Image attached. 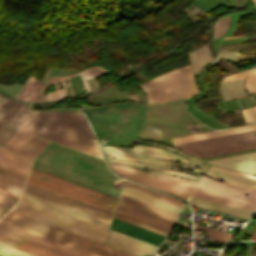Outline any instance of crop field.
Listing matches in <instances>:
<instances>
[{
  "label": "crop field",
  "mask_w": 256,
  "mask_h": 256,
  "mask_svg": "<svg viewBox=\"0 0 256 256\" xmlns=\"http://www.w3.org/2000/svg\"><path fill=\"white\" fill-rule=\"evenodd\" d=\"M137 141H139V140H137ZM139 142H143V141H139ZM145 143H147V142H145ZM138 144H144V143H138ZM152 144H155V143H152ZM146 145H149V144H146ZM102 147H103V150L106 154L108 161L111 163L120 162V163H125V164L146 167V168H150V169L160 171V172L174 173V174H177L175 176L194 180L196 182H198L199 177H196V176L190 175V174H186L183 172H179V171H174L171 169L190 172V173L198 175L200 177H201V175H199L197 173H193L191 171H187V170L178 168V167L167 166L164 164H172V165L180 166V167H183V168H186V169H189V170L201 173V174H203L206 171V169L210 166L209 164H207L195 157H192V156H189L187 154L180 152L181 155H183L193 161L188 160L184 157H181L177 154H174V153L168 151L170 149L164 150V149L148 147V146H144V145H136L133 149L114 147V146H106V145H102ZM157 147H160V146H157ZM161 148H165V147H161ZM165 149H167V148H165ZM109 157L143 163V164H148V165H153L156 167H151V166H147V165H143V164L129 163V162H125V161L112 159ZM151 157L178 161V162H182L185 164H189V165L201 168L203 170L176 164V163H172V162H168V161L154 159ZM112 161H115V162H112ZM115 164H119V163H115ZM119 165L136 168V167H132V166L124 165V164H119ZM110 166L117 174H119L121 176H124L128 179L134 180L136 182L142 183V184L152 187L154 189H158L161 191L175 194L183 200H186L188 195H192V196H196V197H200V198H204V199H208V200H212V201L225 203V204H229V205L256 211V190L224 183V182L209 178L204 175H202V177L198 183H195L190 180H185V179H180V178H175V177H170V176H163V177H167V178L184 181V182H180V181H174V180H168V179L155 177L153 175H157V174L145 172L148 170H145V171H141L144 169L136 170V169H140V168L131 169V168L122 167V166H118V165H114V164H110ZM150 172H152V171H150ZM160 174H165V173H160ZM171 175H173V174H171ZM157 176H161V175H157ZM244 191L252 192L254 194L250 199H248L242 193ZM192 196H190L187 201L188 204L192 205V206H196V207H200V208H204V209H208V210H213V211H217V212H221V213H225V214H230V215H234V216H238V217H242V218H246V219H249L251 217V215L254 213L253 211H249V210H245V209H241V208H237V207H233V206H229V205H225V204H220V203H216V202H212V201H208V200H204V199H200V198H196V197H192Z\"/></svg>",
  "instance_id": "8a807250"
},
{
  "label": "crop field",
  "mask_w": 256,
  "mask_h": 256,
  "mask_svg": "<svg viewBox=\"0 0 256 256\" xmlns=\"http://www.w3.org/2000/svg\"><path fill=\"white\" fill-rule=\"evenodd\" d=\"M35 135L103 158L80 111L33 112Z\"/></svg>",
  "instance_id": "ac0d7876"
},
{
  "label": "crop field",
  "mask_w": 256,
  "mask_h": 256,
  "mask_svg": "<svg viewBox=\"0 0 256 256\" xmlns=\"http://www.w3.org/2000/svg\"><path fill=\"white\" fill-rule=\"evenodd\" d=\"M0 223L92 256H134L12 211Z\"/></svg>",
  "instance_id": "34b2d1b8"
},
{
  "label": "crop field",
  "mask_w": 256,
  "mask_h": 256,
  "mask_svg": "<svg viewBox=\"0 0 256 256\" xmlns=\"http://www.w3.org/2000/svg\"><path fill=\"white\" fill-rule=\"evenodd\" d=\"M139 86L143 88L149 104L185 98L198 93L190 65L161 74Z\"/></svg>",
  "instance_id": "412701ff"
},
{
  "label": "crop field",
  "mask_w": 256,
  "mask_h": 256,
  "mask_svg": "<svg viewBox=\"0 0 256 256\" xmlns=\"http://www.w3.org/2000/svg\"><path fill=\"white\" fill-rule=\"evenodd\" d=\"M17 205L100 234L102 236H107L110 224L109 222L29 194L27 192H22L21 199Z\"/></svg>",
  "instance_id": "f4fd0767"
},
{
  "label": "crop field",
  "mask_w": 256,
  "mask_h": 256,
  "mask_svg": "<svg viewBox=\"0 0 256 256\" xmlns=\"http://www.w3.org/2000/svg\"><path fill=\"white\" fill-rule=\"evenodd\" d=\"M28 182L48 188L50 190L62 193L64 195L76 198L78 200L90 203L92 205L114 211L116 198L88 189L86 187L74 184L50 174L31 169Z\"/></svg>",
  "instance_id": "dd49c442"
},
{
  "label": "crop field",
  "mask_w": 256,
  "mask_h": 256,
  "mask_svg": "<svg viewBox=\"0 0 256 256\" xmlns=\"http://www.w3.org/2000/svg\"><path fill=\"white\" fill-rule=\"evenodd\" d=\"M171 146L198 158L256 148V130Z\"/></svg>",
  "instance_id": "e52e79f7"
},
{
  "label": "crop field",
  "mask_w": 256,
  "mask_h": 256,
  "mask_svg": "<svg viewBox=\"0 0 256 256\" xmlns=\"http://www.w3.org/2000/svg\"><path fill=\"white\" fill-rule=\"evenodd\" d=\"M23 190L27 191L29 193L38 195L40 197L49 199L51 201L60 203L62 205L71 207L73 209L82 211L84 213L93 215L95 217L104 219L106 221H109V222L111 221V217H112V214H113L112 212H109V211H106L104 209L92 206L90 204L78 201L76 199L64 196L62 194L50 191L48 189L36 186L34 184H31V183L27 182Z\"/></svg>",
  "instance_id": "d8731c3e"
},
{
  "label": "crop field",
  "mask_w": 256,
  "mask_h": 256,
  "mask_svg": "<svg viewBox=\"0 0 256 256\" xmlns=\"http://www.w3.org/2000/svg\"><path fill=\"white\" fill-rule=\"evenodd\" d=\"M0 234L39 247L41 249L53 252L61 256H89L81 252L66 248L64 246L52 243L50 241L21 232L19 230L7 227L2 224H0Z\"/></svg>",
  "instance_id": "5a996713"
},
{
  "label": "crop field",
  "mask_w": 256,
  "mask_h": 256,
  "mask_svg": "<svg viewBox=\"0 0 256 256\" xmlns=\"http://www.w3.org/2000/svg\"><path fill=\"white\" fill-rule=\"evenodd\" d=\"M117 204L129 209L138 211L140 213L152 216L154 218L166 221L171 224H173L177 216V213L136 200L134 198H131L122 194L120 195V198Z\"/></svg>",
  "instance_id": "3316defc"
},
{
  "label": "crop field",
  "mask_w": 256,
  "mask_h": 256,
  "mask_svg": "<svg viewBox=\"0 0 256 256\" xmlns=\"http://www.w3.org/2000/svg\"><path fill=\"white\" fill-rule=\"evenodd\" d=\"M108 73L109 72L107 70H105L101 67H98V66H94V67L86 69L82 72H78V73H74V74H70V75H66V76L52 77L50 82L47 85L56 84L57 90H55L51 93L49 92L48 94H46V96H42L38 102L68 98V93H67L64 79H67L68 87L70 89V93L72 96L73 94L71 91V87H70L68 78H71V77H74V76L80 74L81 79L84 80V79L95 78L99 75L108 74ZM59 82L62 83L64 90L58 89L57 83H59Z\"/></svg>",
  "instance_id": "28ad6ade"
},
{
  "label": "crop field",
  "mask_w": 256,
  "mask_h": 256,
  "mask_svg": "<svg viewBox=\"0 0 256 256\" xmlns=\"http://www.w3.org/2000/svg\"><path fill=\"white\" fill-rule=\"evenodd\" d=\"M12 211H15V212H17V213L26 215V216H28V217H31V218H34V219H37V220H40V221L45 222V223H48V224H51V225H53V226L62 228V229H64V230L73 232V233H75V234H78V235L87 237V238H89V239L98 241V242H100V243H103V244L105 243V239H106L105 237H102V236H100V235L91 233V232H89V231L80 229V228L75 227V226H72V225H69V224H67V223H64V222L55 220V219H53V218L44 216V215H42V214L33 212V211H31V210L22 208V207H20V206L15 205L14 208L12 209Z\"/></svg>",
  "instance_id": "d1516ede"
},
{
  "label": "crop field",
  "mask_w": 256,
  "mask_h": 256,
  "mask_svg": "<svg viewBox=\"0 0 256 256\" xmlns=\"http://www.w3.org/2000/svg\"><path fill=\"white\" fill-rule=\"evenodd\" d=\"M206 175L215 179L256 189V176L211 166Z\"/></svg>",
  "instance_id": "22f410ed"
},
{
  "label": "crop field",
  "mask_w": 256,
  "mask_h": 256,
  "mask_svg": "<svg viewBox=\"0 0 256 256\" xmlns=\"http://www.w3.org/2000/svg\"><path fill=\"white\" fill-rule=\"evenodd\" d=\"M32 136V115L30 114L28 118L21 124V126L6 141L3 147L18 153Z\"/></svg>",
  "instance_id": "cbeb9de0"
},
{
  "label": "crop field",
  "mask_w": 256,
  "mask_h": 256,
  "mask_svg": "<svg viewBox=\"0 0 256 256\" xmlns=\"http://www.w3.org/2000/svg\"><path fill=\"white\" fill-rule=\"evenodd\" d=\"M256 129V123L249 125V126H243V127H237L233 129H226V130H218V131H211V132H205V133H199V134H193V135H187V136H181V137H175L172 138L174 143H182V142H188L193 140H199L204 138H210L215 136H221L226 134H232L237 132H243L248 130H254Z\"/></svg>",
  "instance_id": "5142ce71"
},
{
  "label": "crop field",
  "mask_w": 256,
  "mask_h": 256,
  "mask_svg": "<svg viewBox=\"0 0 256 256\" xmlns=\"http://www.w3.org/2000/svg\"><path fill=\"white\" fill-rule=\"evenodd\" d=\"M41 89V81L28 76L25 85L15 99L21 101H33Z\"/></svg>",
  "instance_id": "d9b57169"
},
{
  "label": "crop field",
  "mask_w": 256,
  "mask_h": 256,
  "mask_svg": "<svg viewBox=\"0 0 256 256\" xmlns=\"http://www.w3.org/2000/svg\"><path fill=\"white\" fill-rule=\"evenodd\" d=\"M188 56L192 63L194 74L212 60L208 45L189 53Z\"/></svg>",
  "instance_id": "733c2abd"
},
{
  "label": "crop field",
  "mask_w": 256,
  "mask_h": 256,
  "mask_svg": "<svg viewBox=\"0 0 256 256\" xmlns=\"http://www.w3.org/2000/svg\"><path fill=\"white\" fill-rule=\"evenodd\" d=\"M242 81L243 79L221 82L220 91L223 99L226 100L241 96H248L242 89Z\"/></svg>",
  "instance_id": "4a817a6b"
},
{
  "label": "crop field",
  "mask_w": 256,
  "mask_h": 256,
  "mask_svg": "<svg viewBox=\"0 0 256 256\" xmlns=\"http://www.w3.org/2000/svg\"><path fill=\"white\" fill-rule=\"evenodd\" d=\"M121 193L125 194V195H128V196H131V197H134L136 199H139V200H142V201H145V202H148V203H151V204L163 207L165 209H168V210H171V211H174V212H177V213L180 210V207L174 206L172 204L160 201L158 199L146 196L144 194L132 191V190L124 188V187L122 188V192Z\"/></svg>",
  "instance_id": "bc2a9ffb"
},
{
  "label": "crop field",
  "mask_w": 256,
  "mask_h": 256,
  "mask_svg": "<svg viewBox=\"0 0 256 256\" xmlns=\"http://www.w3.org/2000/svg\"><path fill=\"white\" fill-rule=\"evenodd\" d=\"M124 187H127V188H130L132 190H135V191H138V192H141V193H144L146 195H149V196H152V197H155V198H158L160 200H163V201H166V202H169V203H172L174 205H177V206H182V202L181 201H178L174 198H171L169 196H166V195H163L161 193H158L156 191H153L151 189H148L146 187H143L141 185H138V184H134V183H131V182H127V181H124V184H123Z\"/></svg>",
  "instance_id": "214f88e0"
},
{
  "label": "crop field",
  "mask_w": 256,
  "mask_h": 256,
  "mask_svg": "<svg viewBox=\"0 0 256 256\" xmlns=\"http://www.w3.org/2000/svg\"><path fill=\"white\" fill-rule=\"evenodd\" d=\"M0 160L6 162L24 172H28L31 162L3 149L0 148Z\"/></svg>",
  "instance_id": "92a150f3"
},
{
  "label": "crop field",
  "mask_w": 256,
  "mask_h": 256,
  "mask_svg": "<svg viewBox=\"0 0 256 256\" xmlns=\"http://www.w3.org/2000/svg\"><path fill=\"white\" fill-rule=\"evenodd\" d=\"M47 142V140L33 136L18 154L33 160Z\"/></svg>",
  "instance_id": "dafd665d"
},
{
  "label": "crop field",
  "mask_w": 256,
  "mask_h": 256,
  "mask_svg": "<svg viewBox=\"0 0 256 256\" xmlns=\"http://www.w3.org/2000/svg\"><path fill=\"white\" fill-rule=\"evenodd\" d=\"M22 187V185L0 175V193L17 200Z\"/></svg>",
  "instance_id": "00972430"
},
{
  "label": "crop field",
  "mask_w": 256,
  "mask_h": 256,
  "mask_svg": "<svg viewBox=\"0 0 256 256\" xmlns=\"http://www.w3.org/2000/svg\"><path fill=\"white\" fill-rule=\"evenodd\" d=\"M114 217H115V218H118V219H120V220L129 222V223H132V224H134V225H137V226L146 228V229H148V230H151V231L160 233V234L165 235V236L167 235V233H168V231H169V230H166V229H164V228L155 226V225H153V224L144 222V221H142V220L133 218V217H131V216L122 214V213L117 212V211L115 212V216H114Z\"/></svg>",
  "instance_id": "a9b5d70f"
},
{
  "label": "crop field",
  "mask_w": 256,
  "mask_h": 256,
  "mask_svg": "<svg viewBox=\"0 0 256 256\" xmlns=\"http://www.w3.org/2000/svg\"><path fill=\"white\" fill-rule=\"evenodd\" d=\"M22 106L20 103L6 100L0 107V130L2 127L11 119V117L19 110Z\"/></svg>",
  "instance_id": "4177f3b9"
},
{
  "label": "crop field",
  "mask_w": 256,
  "mask_h": 256,
  "mask_svg": "<svg viewBox=\"0 0 256 256\" xmlns=\"http://www.w3.org/2000/svg\"><path fill=\"white\" fill-rule=\"evenodd\" d=\"M194 228L196 229H200V230H204L207 231V236L209 240H215V241H220V242H224L226 243L228 240H230L232 238V236L234 235L233 233H229V232H225V231H221V230H217V229H212V228H208V227H204V226H200V225H196L194 224ZM213 238V239H211Z\"/></svg>",
  "instance_id": "730fd06b"
},
{
  "label": "crop field",
  "mask_w": 256,
  "mask_h": 256,
  "mask_svg": "<svg viewBox=\"0 0 256 256\" xmlns=\"http://www.w3.org/2000/svg\"><path fill=\"white\" fill-rule=\"evenodd\" d=\"M116 210H117V211H120V212H122V213L128 214V215H131V216H133V217L142 219V220H144V221L153 223V224H155V225L164 227V228L169 229V230L171 229V226H172L171 224H168V223H165V222H163V221H160V220L151 218V217H149V216H146V215L137 213V212H135V211H132V210L123 208V207L118 206V205H117Z\"/></svg>",
  "instance_id": "eef30255"
},
{
  "label": "crop field",
  "mask_w": 256,
  "mask_h": 256,
  "mask_svg": "<svg viewBox=\"0 0 256 256\" xmlns=\"http://www.w3.org/2000/svg\"><path fill=\"white\" fill-rule=\"evenodd\" d=\"M109 236H112L114 238H117V239H120V240H123L125 242H128V243H131V244H134V245H137L139 247H142V248H145V249H148L150 251H155L156 249V246H153L151 244H148V243H145L143 241H140V240H137L135 238H132V237H129L127 235H124V234H121L119 232H116V231H113V230H109Z\"/></svg>",
  "instance_id": "ae1a2a85"
},
{
  "label": "crop field",
  "mask_w": 256,
  "mask_h": 256,
  "mask_svg": "<svg viewBox=\"0 0 256 256\" xmlns=\"http://www.w3.org/2000/svg\"><path fill=\"white\" fill-rule=\"evenodd\" d=\"M0 241L6 242L8 244L23 248L25 250H28V251H31V252H34V253H37V254H40L42 256H58V255H55L53 253L41 250L39 248L27 245L25 243L13 240L11 238H8V237L2 236V235H0Z\"/></svg>",
  "instance_id": "d3111659"
},
{
  "label": "crop field",
  "mask_w": 256,
  "mask_h": 256,
  "mask_svg": "<svg viewBox=\"0 0 256 256\" xmlns=\"http://www.w3.org/2000/svg\"><path fill=\"white\" fill-rule=\"evenodd\" d=\"M254 158H256V152L235 155V156H230V157H224V158H219V159H213V160H207V162H210V163L216 164V165H220V164L249 160V159H254Z\"/></svg>",
  "instance_id": "750c4746"
},
{
  "label": "crop field",
  "mask_w": 256,
  "mask_h": 256,
  "mask_svg": "<svg viewBox=\"0 0 256 256\" xmlns=\"http://www.w3.org/2000/svg\"><path fill=\"white\" fill-rule=\"evenodd\" d=\"M223 167L255 174L256 173V159L255 160H249V161H243V162H237L232 164H226V165H220Z\"/></svg>",
  "instance_id": "bd1437ed"
},
{
  "label": "crop field",
  "mask_w": 256,
  "mask_h": 256,
  "mask_svg": "<svg viewBox=\"0 0 256 256\" xmlns=\"http://www.w3.org/2000/svg\"><path fill=\"white\" fill-rule=\"evenodd\" d=\"M229 24V16L225 15L219 18L214 24V34L213 39L224 34Z\"/></svg>",
  "instance_id": "1d83c4d3"
},
{
  "label": "crop field",
  "mask_w": 256,
  "mask_h": 256,
  "mask_svg": "<svg viewBox=\"0 0 256 256\" xmlns=\"http://www.w3.org/2000/svg\"><path fill=\"white\" fill-rule=\"evenodd\" d=\"M244 88L248 91V93H256V68L250 69Z\"/></svg>",
  "instance_id": "120bbe31"
},
{
  "label": "crop field",
  "mask_w": 256,
  "mask_h": 256,
  "mask_svg": "<svg viewBox=\"0 0 256 256\" xmlns=\"http://www.w3.org/2000/svg\"><path fill=\"white\" fill-rule=\"evenodd\" d=\"M219 57H222L230 62H235L236 60H246V56H239L238 52L220 51L218 56L215 57L212 63H214ZM232 63V64H233Z\"/></svg>",
  "instance_id": "d32e631a"
},
{
  "label": "crop field",
  "mask_w": 256,
  "mask_h": 256,
  "mask_svg": "<svg viewBox=\"0 0 256 256\" xmlns=\"http://www.w3.org/2000/svg\"><path fill=\"white\" fill-rule=\"evenodd\" d=\"M107 240H108V241H111V242H113V243L119 244V245H121V246L130 248V249H132V250L138 251V252H140V253L154 256V253H153V252H150V251H148V250L139 248V247H137V246H134V245L125 243V242H123V241L114 239V238H112V237H109V236H108Z\"/></svg>",
  "instance_id": "5866460e"
},
{
  "label": "crop field",
  "mask_w": 256,
  "mask_h": 256,
  "mask_svg": "<svg viewBox=\"0 0 256 256\" xmlns=\"http://www.w3.org/2000/svg\"><path fill=\"white\" fill-rule=\"evenodd\" d=\"M0 174L20 183L22 185L24 184V182L26 180L25 178L15 174L5 168H2V167H0Z\"/></svg>",
  "instance_id": "028f5c9d"
},
{
  "label": "crop field",
  "mask_w": 256,
  "mask_h": 256,
  "mask_svg": "<svg viewBox=\"0 0 256 256\" xmlns=\"http://www.w3.org/2000/svg\"><path fill=\"white\" fill-rule=\"evenodd\" d=\"M246 123L256 121V106L241 110Z\"/></svg>",
  "instance_id": "e1f06a70"
},
{
  "label": "crop field",
  "mask_w": 256,
  "mask_h": 256,
  "mask_svg": "<svg viewBox=\"0 0 256 256\" xmlns=\"http://www.w3.org/2000/svg\"><path fill=\"white\" fill-rule=\"evenodd\" d=\"M228 103L231 105V107L233 108V110H236L238 109L234 100H230L228 101ZM227 103V101H224V102H219V103H216V107L222 111V112H227V111H231L232 108L229 106V104Z\"/></svg>",
  "instance_id": "0bd39190"
},
{
  "label": "crop field",
  "mask_w": 256,
  "mask_h": 256,
  "mask_svg": "<svg viewBox=\"0 0 256 256\" xmlns=\"http://www.w3.org/2000/svg\"><path fill=\"white\" fill-rule=\"evenodd\" d=\"M15 202L4 197L0 201V217L14 204Z\"/></svg>",
  "instance_id": "b80d0937"
},
{
  "label": "crop field",
  "mask_w": 256,
  "mask_h": 256,
  "mask_svg": "<svg viewBox=\"0 0 256 256\" xmlns=\"http://www.w3.org/2000/svg\"><path fill=\"white\" fill-rule=\"evenodd\" d=\"M0 246H1V247H4V248H7V249H10V250H13V251L18 252V253L27 255V256H40V255L31 253V252L25 251V250H23V249H20V248H17V247L8 245V244L3 243V242H0Z\"/></svg>",
  "instance_id": "c035e120"
},
{
  "label": "crop field",
  "mask_w": 256,
  "mask_h": 256,
  "mask_svg": "<svg viewBox=\"0 0 256 256\" xmlns=\"http://www.w3.org/2000/svg\"><path fill=\"white\" fill-rule=\"evenodd\" d=\"M248 70H249V69L244 70V71H242V72L234 73V74L229 75V76H225V77L222 79V81L244 78V76H245V74L247 73Z\"/></svg>",
  "instance_id": "c21b1889"
},
{
  "label": "crop field",
  "mask_w": 256,
  "mask_h": 256,
  "mask_svg": "<svg viewBox=\"0 0 256 256\" xmlns=\"http://www.w3.org/2000/svg\"><path fill=\"white\" fill-rule=\"evenodd\" d=\"M0 166L5 167V168H7V169H9V170H11V171H13V172H15V173H17V174L23 176V177H25V178H26V176H27L26 173H24V172H22V171H20V170H18V169H16V168H14V167H12V166L6 164V163H3V162H1V161H0Z\"/></svg>",
  "instance_id": "03da06ac"
},
{
  "label": "crop field",
  "mask_w": 256,
  "mask_h": 256,
  "mask_svg": "<svg viewBox=\"0 0 256 256\" xmlns=\"http://www.w3.org/2000/svg\"><path fill=\"white\" fill-rule=\"evenodd\" d=\"M0 254L4 255V256H24V255L15 253L13 251H10V250H7V249L1 248V247H0Z\"/></svg>",
  "instance_id": "b54c1fbb"
},
{
  "label": "crop field",
  "mask_w": 256,
  "mask_h": 256,
  "mask_svg": "<svg viewBox=\"0 0 256 256\" xmlns=\"http://www.w3.org/2000/svg\"><path fill=\"white\" fill-rule=\"evenodd\" d=\"M106 244L111 245V246H114V247L119 248V249H122V250H125V251H128V252H131V253L136 254V255H139V256H144L143 254H140V253L135 252V251H132V250H130V249L121 247V246H119V245L113 244V243L108 242V241L106 242Z\"/></svg>",
  "instance_id": "5d738f31"
},
{
  "label": "crop field",
  "mask_w": 256,
  "mask_h": 256,
  "mask_svg": "<svg viewBox=\"0 0 256 256\" xmlns=\"http://www.w3.org/2000/svg\"><path fill=\"white\" fill-rule=\"evenodd\" d=\"M0 106L3 104V102L6 100V99H4V98H2V97H0Z\"/></svg>",
  "instance_id": "d23c7cc5"
},
{
  "label": "crop field",
  "mask_w": 256,
  "mask_h": 256,
  "mask_svg": "<svg viewBox=\"0 0 256 256\" xmlns=\"http://www.w3.org/2000/svg\"><path fill=\"white\" fill-rule=\"evenodd\" d=\"M4 196L0 195V200L3 198Z\"/></svg>",
  "instance_id": "425ffa30"
},
{
  "label": "crop field",
  "mask_w": 256,
  "mask_h": 256,
  "mask_svg": "<svg viewBox=\"0 0 256 256\" xmlns=\"http://www.w3.org/2000/svg\"><path fill=\"white\" fill-rule=\"evenodd\" d=\"M1 256V255H0Z\"/></svg>",
  "instance_id": "25e5ab78"
}]
</instances>
